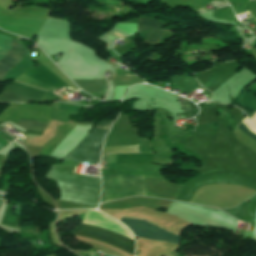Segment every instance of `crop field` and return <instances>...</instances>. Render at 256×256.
Here are the masks:
<instances>
[{"label": "crop field", "mask_w": 256, "mask_h": 256, "mask_svg": "<svg viewBox=\"0 0 256 256\" xmlns=\"http://www.w3.org/2000/svg\"><path fill=\"white\" fill-rule=\"evenodd\" d=\"M75 167L52 166L47 178L56 180L61 199L97 207L100 178L73 174ZM75 168L74 173L76 172Z\"/></svg>", "instance_id": "obj_1"}, {"label": "crop field", "mask_w": 256, "mask_h": 256, "mask_svg": "<svg viewBox=\"0 0 256 256\" xmlns=\"http://www.w3.org/2000/svg\"><path fill=\"white\" fill-rule=\"evenodd\" d=\"M101 203L133 195L145 196L143 176L102 175Z\"/></svg>", "instance_id": "obj_2"}, {"label": "crop field", "mask_w": 256, "mask_h": 256, "mask_svg": "<svg viewBox=\"0 0 256 256\" xmlns=\"http://www.w3.org/2000/svg\"><path fill=\"white\" fill-rule=\"evenodd\" d=\"M111 123L112 121L108 120L97 123L92 132L74 151L67 155L65 160L98 163L102 141Z\"/></svg>", "instance_id": "obj_3"}, {"label": "crop field", "mask_w": 256, "mask_h": 256, "mask_svg": "<svg viewBox=\"0 0 256 256\" xmlns=\"http://www.w3.org/2000/svg\"><path fill=\"white\" fill-rule=\"evenodd\" d=\"M73 235L97 239L133 254L134 240L117 231L82 222L81 226L73 232Z\"/></svg>", "instance_id": "obj_4"}, {"label": "crop field", "mask_w": 256, "mask_h": 256, "mask_svg": "<svg viewBox=\"0 0 256 256\" xmlns=\"http://www.w3.org/2000/svg\"><path fill=\"white\" fill-rule=\"evenodd\" d=\"M121 222L127 225L136 237L150 238L176 244L180 242L178 236L166 232L153 224L147 223L148 221L145 222L140 219L122 218Z\"/></svg>", "instance_id": "obj_5"}, {"label": "crop field", "mask_w": 256, "mask_h": 256, "mask_svg": "<svg viewBox=\"0 0 256 256\" xmlns=\"http://www.w3.org/2000/svg\"><path fill=\"white\" fill-rule=\"evenodd\" d=\"M9 38L0 35V58L7 54ZM25 48L10 38V49L7 55L0 59V80L8 69L24 55Z\"/></svg>", "instance_id": "obj_6"}, {"label": "crop field", "mask_w": 256, "mask_h": 256, "mask_svg": "<svg viewBox=\"0 0 256 256\" xmlns=\"http://www.w3.org/2000/svg\"><path fill=\"white\" fill-rule=\"evenodd\" d=\"M7 89H11L14 91H18L21 93H25L28 95H32L35 97H39L41 98L46 91L34 88V87H30L18 82L13 81L8 87ZM5 89L1 94H0V101H38L39 98H35L32 96H28L25 94H21L18 92H14L11 90H7Z\"/></svg>", "instance_id": "obj_7"}, {"label": "crop field", "mask_w": 256, "mask_h": 256, "mask_svg": "<svg viewBox=\"0 0 256 256\" xmlns=\"http://www.w3.org/2000/svg\"><path fill=\"white\" fill-rule=\"evenodd\" d=\"M176 205L188 207L194 211H197L215 221H218L222 224H225L227 226H230L232 228H235L237 220L229 216L228 214L216 210L211 207H205V206H199V205H194V204H188V203H183V202H176Z\"/></svg>", "instance_id": "obj_8"}, {"label": "crop field", "mask_w": 256, "mask_h": 256, "mask_svg": "<svg viewBox=\"0 0 256 256\" xmlns=\"http://www.w3.org/2000/svg\"><path fill=\"white\" fill-rule=\"evenodd\" d=\"M81 89L87 93L105 92L106 80H73Z\"/></svg>", "instance_id": "obj_9"}, {"label": "crop field", "mask_w": 256, "mask_h": 256, "mask_svg": "<svg viewBox=\"0 0 256 256\" xmlns=\"http://www.w3.org/2000/svg\"><path fill=\"white\" fill-rule=\"evenodd\" d=\"M164 23L156 21L154 19L150 18H138V25H137V31H145V30H151V29H163Z\"/></svg>", "instance_id": "obj_10"}, {"label": "crop field", "mask_w": 256, "mask_h": 256, "mask_svg": "<svg viewBox=\"0 0 256 256\" xmlns=\"http://www.w3.org/2000/svg\"><path fill=\"white\" fill-rule=\"evenodd\" d=\"M17 125L25 128V129L43 132L47 123L46 122H40V121L20 119V121L18 122Z\"/></svg>", "instance_id": "obj_11"}, {"label": "crop field", "mask_w": 256, "mask_h": 256, "mask_svg": "<svg viewBox=\"0 0 256 256\" xmlns=\"http://www.w3.org/2000/svg\"><path fill=\"white\" fill-rule=\"evenodd\" d=\"M236 127L256 141V132L252 130L249 126H247L245 123L241 121V123Z\"/></svg>", "instance_id": "obj_12"}, {"label": "crop field", "mask_w": 256, "mask_h": 256, "mask_svg": "<svg viewBox=\"0 0 256 256\" xmlns=\"http://www.w3.org/2000/svg\"><path fill=\"white\" fill-rule=\"evenodd\" d=\"M165 31H152L150 34L148 44H157L158 41L162 38Z\"/></svg>", "instance_id": "obj_13"}, {"label": "crop field", "mask_w": 256, "mask_h": 256, "mask_svg": "<svg viewBox=\"0 0 256 256\" xmlns=\"http://www.w3.org/2000/svg\"><path fill=\"white\" fill-rule=\"evenodd\" d=\"M175 96H176V95H175ZM176 97H177V99L179 100V102H180V104H181V106H182L184 112L192 111L191 108H190V106H189V104H188V102H187V100H185V99H183V98H180V97H178V96H176Z\"/></svg>", "instance_id": "obj_14"}, {"label": "crop field", "mask_w": 256, "mask_h": 256, "mask_svg": "<svg viewBox=\"0 0 256 256\" xmlns=\"http://www.w3.org/2000/svg\"><path fill=\"white\" fill-rule=\"evenodd\" d=\"M63 105H64V104H61L58 108L61 109ZM66 106H67V105L65 104L62 109H64ZM68 106H69V105H68ZM68 106H67V107H68ZM67 107L65 108V110L67 109ZM71 107H72V105L70 106V108H71ZM70 108H69V109H70ZM74 108H75V106H73L70 110L73 111ZM77 108H78V106H76V108L74 109V111H76ZM69 109H68V110H69Z\"/></svg>", "instance_id": "obj_15"}, {"label": "crop field", "mask_w": 256, "mask_h": 256, "mask_svg": "<svg viewBox=\"0 0 256 256\" xmlns=\"http://www.w3.org/2000/svg\"><path fill=\"white\" fill-rule=\"evenodd\" d=\"M253 234L256 236V213H255V230H254Z\"/></svg>", "instance_id": "obj_16"}, {"label": "crop field", "mask_w": 256, "mask_h": 256, "mask_svg": "<svg viewBox=\"0 0 256 256\" xmlns=\"http://www.w3.org/2000/svg\"><path fill=\"white\" fill-rule=\"evenodd\" d=\"M114 34H116V35H118V36H120V37L122 36V35H120V34H118V33H116V32H115Z\"/></svg>", "instance_id": "obj_17"}, {"label": "crop field", "mask_w": 256, "mask_h": 256, "mask_svg": "<svg viewBox=\"0 0 256 256\" xmlns=\"http://www.w3.org/2000/svg\"><path fill=\"white\" fill-rule=\"evenodd\" d=\"M126 76H128V75H126Z\"/></svg>", "instance_id": "obj_18"}]
</instances>
